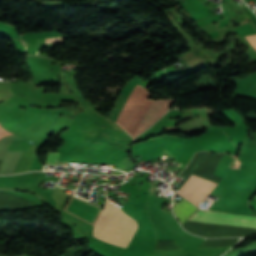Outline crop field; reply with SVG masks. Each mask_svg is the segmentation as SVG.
<instances>
[{
  "mask_svg": "<svg viewBox=\"0 0 256 256\" xmlns=\"http://www.w3.org/2000/svg\"><path fill=\"white\" fill-rule=\"evenodd\" d=\"M215 187L216 184L192 175L177 193L199 206Z\"/></svg>",
  "mask_w": 256,
  "mask_h": 256,
  "instance_id": "obj_4",
  "label": "crop field"
},
{
  "mask_svg": "<svg viewBox=\"0 0 256 256\" xmlns=\"http://www.w3.org/2000/svg\"><path fill=\"white\" fill-rule=\"evenodd\" d=\"M59 154L60 153H51V152H49L48 155H47V158L45 160V165L56 166L58 158H59Z\"/></svg>",
  "mask_w": 256,
  "mask_h": 256,
  "instance_id": "obj_6",
  "label": "crop field"
},
{
  "mask_svg": "<svg viewBox=\"0 0 256 256\" xmlns=\"http://www.w3.org/2000/svg\"><path fill=\"white\" fill-rule=\"evenodd\" d=\"M150 96L145 88L137 84L116 121L133 138L156 122L175 101L147 100Z\"/></svg>",
  "mask_w": 256,
  "mask_h": 256,
  "instance_id": "obj_1",
  "label": "crop field"
},
{
  "mask_svg": "<svg viewBox=\"0 0 256 256\" xmlns=\"http://www.w3.org/2000/svg\"><path fill=\"white\" fill-rule=\"evenodd\" d=\"M196 207L190 202L183 199L178 203L174 202L173 211L178 220L183 225L187 218L190 216V214L196 209Z\"/></svg>",
  "mask_w": 256,
  "mask_h": 256,
  "instance_id": "obj_5",
  "label": "crop field"
},
{
  "mask_svg": "<svg viewBox=\"0 0 256 256\" xmlns=\"http://www.w3.org/2000/svg\"><path fill=\"white\" fill-rule=\"evenodd\" d=\"M246 38L256 49V35H248Z\"/></svg>",
  "mask_w": 256,
  "mask_h": 256,
  "instance_id": "obj_7",
  "label": "crop field"
},
{
  "mask_svg": "<svg viewBox=\"0 0 256 256\" xmlns=\"http://www.w3.org/2000/svg\"><path fill=\"white\" fill-rule=\"evenodd\" d=\"M187 221L208 225L256 229V217L221 212H205L198 208Z\"/></svg>",
  "mask_w": 256,
  "mask_h": 256,
  "instance_id": "obj_3",
  "label": "crop field"
},
{
  "mask_svg": "<svg viewBox=\"0 0 256 256\" xmlns=\"http://www.w3.org/2000/svg\"><path fill=\"white\" fill-rule=\"evenodd\" d=\"M139 228L138 222L107 199L93 225V235L112 244L131 248Z\"/></svg>",
  "mask_w": 256,
  "mask_h": 256,
  "instance_id": "obj_2",
  "label": "crop field"
}]
</instances>
